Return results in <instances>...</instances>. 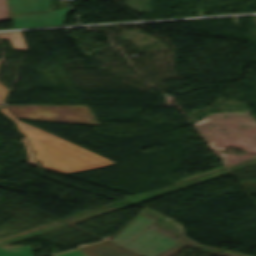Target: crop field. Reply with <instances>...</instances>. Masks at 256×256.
Wrapping results in <instances>:
<instances>
[{"label": "crop field", "mask_w": 256, "mask_h": 256, "mask_svg": "<svg viewBox=\"0 0 256 256\" xmlns=\"http://www.w3.org/2000/svg\"><path fill=\"white\" fill-rule=\"evenodd\" d=\"M0 112L13 119L30 142L34 157L41 162L42 168L63 175L116 165L102 157L92 154L46 132L25 124L13 117L5 107Z\"/></svg>", "instance_id": "1"}, {"label": "crop field", "mask_w": 256, "mask_h": 256, "mask_svg": "<svg viewBox=\"0 0 256 256\" xmlns=\"http://www.w3.org/2000/svg\"><path fill=\"white\" fill-rule=\"evenodd\" d=\"M18 119L83 124L88 105H6Z\"/></svg>", "instance_id": "2"}, {"label": "crop field", "mask_w": 256, "mask_h": 256, "mask_svg": "<svg viewBox=\"0 0 256 256\" xmlns=\"http://www.w3.org/2000/svg\"><path fill=\"white\" fill-rule=\"evenodd\" d=\"M174 245L176 241L148 227L124 248L142 256H155Z\"/></svg>", "instance_id": "3"}, {"label": "crop field", "mask_w": 256, "mask_h": 256, "mask_svg": "<svg viewBox=\"0 0 256 256\" xmlns=\"http://www.w3.org/2000/svg\"><path fill=\"white\" fill-rule=\"evenodd\" d=\"M68 11V8H63L52 12L15 15L10 18L14 28L61 25Z\"/></svg>", "instance_id": "4"}, {"label": "crop field", "mask_w": 256, "mask_h": 256, "mask_svg": "<svg viewBox=\"0 0 256 256\" xmlns=\"http://www.w3.org/2000/svg\"><path fill=\"white\" fill-rule=\"evenodd\" d=\"M87 256H139L110 241L79 248Z\"/></svg>", "instance_id": "5"}, {"label": "crop field", "mask_w": 256, "mask_h": 256, "mask_svg": "<svg viewBox=\"0 0 256 256\" xmlns=\"http://www.w3.org/2000/svg\"><path fill=\"white\" fill-rule=\"evenodd\" d=\"M152 222L153 221L143 216H138L118 234H116L112 239H110V241L123 247L140 232H142L145 228H147Z\"/></svg>", "instance_id": "6"}, {"label": "crop field", "mask_w": 256, "mask_h": 256, "mask_svg": "<svg viewBox=\"0 0 256 256\" xmlns=\"http://www.w3.org/2000/svg\"><path fill=\"white\" fill-rule=\"evenodd\" d=\"M10 14L50 11V0H8Z\"/></svg>", "instance_id": "7"}, {"label": "crop field", "mask_w": 256, "mask_h": 256, "mask_svg": "<svg viewBox=\"0 0 256 256\" xmlns=\"http://www.w3.org/2000/svg\"><path fill=\"white\" fill-rule=\"evenodd\" d=\"M0 256H32V246L0 247Z\"/></svg>", "instance_id": "8"}, {"label": "crop field", "mask_w": 256, "mask_h": 256, "mask_svg": "<svg viewBox=\"0 0 256 256\" xmlns=\"http://www.w3.org/2000/svg\"><path fill=\"white\" fill-rule=\"evenodd\" d=\"M8 39L14 50L26 51L20 32L0 34V40Z\"/></svg>", "instance_id": "9"}, {"label": "crop field", "mask_w": 256, "mask_h": 256, "mask_svg": "<svg viewBox=\"0 0 256 256\" xmlns=\"http://www.w3.org/2000/svg\"><path fill=\"white\" fill-rule=\"evenodd\" d=\"M8 19L6 0H0V21Z\"/></svg>", "instance_id": "10"}, {"label": "crop field", "mask_w": 256, "mask_h": 256, "mask_svg": "<svg viewBox=\"0 0 256 256\" xmlns=\"http://www.w3.org/2000/svg\"><path fill=\"white\" fill-rule=\"evenodd\" d=\"M84 124L98 126V122L94 114L86 115Z\"/></svg>", "instance_id": "11"}, {"label": "crop field", "mask_w": 256, "mask_h": 256, "mask_svg": "<svg viewBox=\"0 0 256 256\" xmlns=\"http://www.w3.org/2000/svg\"><path fill=\"white\" fill-rule=\"evenodd\" d=\"M53 256H86L84 253H82L79 249L68 252V253H64V254H60V255H53Z\"/></svg>", "instance_id": "12"}, {"label": "crop field", "mask_w": 256, "mask_h": 256, "mask_svg": "<svg viewBox=\"0 0 256 256\" xmlns=\"http://www.w3.org/2000/svg\"><path fill=\"white\" fill-rule=\"evenodd\" d=\"M8 92V89L6 87H4L1 83H0V104L2 103V101L4 100L6 94ZM1 107V106H0Z\"/></svg>", "instance_id": "13"}, {"label": "crop field", "mask_w": 256, "mask_h": 256, "mask_svg": "<svg viewBox=\"0 0 256 256\" xmlns=\"http://www.w3.org/2000/svg\"><path fill=\"white\" fill-rule=\"evenodd\" d=\"M23 140H24V143H25V146H26V149H27V153L29 155V163L39 167V165L36 164L37 162L35 161L36 162L35 163L34 160L32 159V153H31V151H30V149H29V147L26 143L25 137L23 138Z\"/></svg>", "instance_id": "14"}]
</instances>
